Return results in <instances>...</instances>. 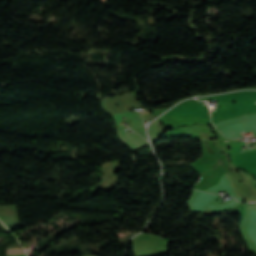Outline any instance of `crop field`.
Here are the masks:
<instances>
[{
  "mask_svg": "<svg viewBox=\"0 0 256 256\" xmlns=\"http://www.w3.org/2000/svg\"><path fill=\"white\" fill-rule=\"evenodd\" d=\"M22 247H8V254L23 253Z\"/></svg>",
  "mask_w": 256,
  "mask_h": 256,
  "instance_id": "1",
  "label": "crop field"
}]
</instances>
